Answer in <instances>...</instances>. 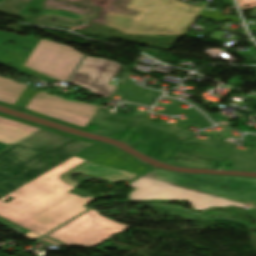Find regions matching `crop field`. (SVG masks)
Here are the masks:
<instances>
[{
  "instance_id": "crop-field-1",
  "label": "crop field",
  "mask_w": 256,
  "mask_h": 256,
  "mask_svg": "<svg viewBox=\"0 0 256 256\" xmlns=\"http://www.w3.org/2000/svg\"><path fill=\"white\" fill-rule=\"evenodd\" d=\"M85 160L72 157L0 199V224L23 235L32 231L40 236L50 232L83 211L95 199L68 192L75 186L60 176ZM10 203L3 202L8 197Z\"/></svg>"
},
{
  "instance_id": "crop-field-2",
  "label": "crop field",
  "mask_w": 256,
  "mask_h": 256,
  "mask_svg": "<svg viewBox=\"0 0 256 256\" xmlns=\"http://www.w3.org/2000/svg\"><path fill=\"white\" fill-rule=\"evenodd\" d=\"M0 174L30 181L92 144L0 117Z\"/></svg>"
},
{
  "instance_id": "crop-field-3",
  "label": "crop field",
  "mask_w": 256,
  "mask_h": 256,
  "mask_svg": "<svg viewBox=\"0 0 256 256\" xmlns=\"http://www.w3.org/2000/svg\"><path fill=\"white\" fill-rule=\"evenodd\" d=\"M127 7L139 11L135 16L110 12L106 17L110 20L107 26L124 34L183 35L198 16L216 22H242L240 18L221 15V11L178 0H132Z\"/></svg>"
},
{
  "instance_id": "crop-field-4",
  "label": "crop field",
  "mask_w": 256,
  "mask_h": 256,
  "mask_svg": "<svg viewBox=\"0 0 256 256\" xmlns=\"http://www.w3.org/2000/svg\"><path fill=\"white\" fill-rule=\"evenodd\" d=\"M10 41L17 45L10 44ZM4 43L7 45L3 46ZM22 48L30 51L24 52ZM82 56L70 47L51 41L0 31V63L35 78L49 82L56 79L67 81Z\"/></svg>"
},
{
  "instance_id": "crop-field-5",
  "label": "crop field",
  "mask_w": 256,
  "mask_h": 256,
  "mask_svg": "<svg viewBox=\"0 0 256 256\" xmlns=\"http://www.w3.org/2000/svg\"><path fill=\"white\" fill-rule=\"evenodd\" d=\"M84 130L111 135L118 139L134 131L130 139L151 146L147 154L163 162L184 133L181 130L127 115L119 120L99 114L95 115Z\"/></svg>"
},
{
  "instance_id": "crop-field-6",
  "label": "crop field",
  "mask_w": 256,
  "mask_h": 256,
  "mask_svg": "<svg viewBox=\"0 0 256 256\" xmlns=\"http://www.w3.org/2000/svg\"><path fill=\"white\" fill-rule=\"evenodd\" d=\"M145 176L256 206V179L180 174L162 169Z\"/></svg>"
},
{
  "instance_id": "crop-field-7",
  "label": "crop field",
  "mask_w": 256,
  "mask_h": 256,
  "mask_svg": "<svg viewBox=\"0 0 256 256\" xmlns=\"http://www.w3.org/2000/svg\"><path fill=\"white\" fill-rule=\"evenodd\" d=\"M128 227L103 217L92 209L49 234L48 237L57 239L69 247L78 245L93 248Z\"/></svg>"
},
{
  "instance_id": "crop-field-8",
  "label": "crop field",
  "mask_w": 256,
  "mask_h": 256,
  "mask_svg": "<svg viewBox=\"0 0 256 256\" xmlns=\"http://www.w3.org/2000/svg\"><path fill=\"white\" fill-rule=\"evenodd\" d=\"M129 186L138 188L130 193V200L182 199L191 202L193 208L198 210H204L211 206H247L242 203L185 189L174 184L150 179L145 176L140 177Z\"/></svg>"
},
{
  "instance_id": "crop-field-9",
  "label": "crop field",
  "mask_w": 256,
  "mask_h": 256,
  "mask_svg": "<svg viewBox=\"0 0 256 256\" xmlns=\"http://www.w3.org/2000/svg\"><path fill=\"white\" fill-rule=\"evenodd\" d=\"M120 66L110 60L86 56L70 83L87 88L93 94L109 97L116 88L109 83Z\"/></svg>"
},
{
  "instance_id": "crop-field-10",
  "label": "crop field",
  "mask_w": 256,
  "mask_h": 256,
  "mask_svg": "<svg viewBox=\"0 0 256 256\" xmlns=\"http://www.w3.org/2000/svg\"><path fill=\"white\" fill-rule=\"evenodd\" d=\"M229 150L182 138L166 163L177 166L213 169Z\"/></svg>"
},
{
  "instance_id": "crop-field-11",
  "label": "crop field",
  "mask_w": 256,
  "mask_h": 256,
  "mask_svg": "<svg viewBox=\"0 0 256 256\" xmlns=\"http://www.w3.org/2000/svg\"><path fill=\"white\" fill-rule=\"evenodd\" d=\"M87 105L58 96H49L48 93L39 90L22 108L73 124Z\"/></svg>"
},
{
  "instance_id": "crop-field-12",
  "label": "crop field",
  "mask_w": 256,
  "mask_h": 256,
  "mask_svg": "<svg viewBox=\"0 0 256 256\" xmlns=\"http://www.w3.org/2000/svg\"><path fill=\"white\" fill-rule=\"evenodd\" d=\"M89 161L139 175L151 166L112 146Z\"/></svg>"
},
{
  "instance_id": "crop-field-13",
  "label": "crop field",
  "mask_w": 256,
  "mask_h": 256,
  "mask_svg": "<svg viewBox=\"0 0 256 256\" xmlns=\"http://www.w3.org/2000/svg\"><path fill=\"white\" fill-rule=\"evenodd\" d=\"M74 172L97 178H106L112 182L118 180L129 181L136 176L117 169L109 168L106 166L86 161L83 164L79 165L78 167L62 175V180H64L66 183L78 186L79 184L75 183L74 181L68 178V175Z\"/></svg>"
},
{
  "instance_id": "crop-field-14",
  "label": "crop field",
  "mask_w": 256,
  "mask_h": 256,
  "mask_svg": "<svg viewBox=\"0 0 256 256\" xmlns=\"http://www.w3.org/2000/svg\"><path fill=\"white\" fill-rule=\"evenodd\" d=\"M33 87L0 77V101L21 107Z\"/></svg>"
},
{
  "instance_id": "crop-field-15",
  "label": "crop field",
  "mask_w": 256,
  "mask_h": 256,
  "mask_svg": "<svg viewBox=\"0 0 256 256\" xmlns=\"http://www.w3.org/2000/svg\"><path fill=\"white\" fill-rule=\"evenodd\" d=\"M256 153L255 150L249 149L246 153L232 150L224 158L236 161L232 168L254 170L256 171Z\"/></svg>"
},
{
  "instance_id": "crop-field-16",
  "label": "crop field",
  "mask_w": 256,
  "mask_h": 256,
  "mask_svg": "<svg viewBox=\"0 0 256 256\" xmlns=\"http://www.w3.org/2000/svg\"><path fill=\"white\" fill-rule=\"evenodd\" d=\"M45 0H32L21 12V14L30 15V14H49V15H59L67 18H72L79 20L82 15L68 13L64 11L57 10H43Z\"/></svg>"
},
{
  "instance_id": "crop-field-17",
  "label": "crop field",
  "mask_w": 256,
  "mask_h": 256,
  "mask_svg": "<svg viewBox=\"0 0 256 256\" xmlns=\"http://www.w3.org/2000/svg\"><path fill=\"white\" fill-rule=\"evenodd\" d=\"M25 181L0 175V198L24 185Z\"/></svg>"
},
{
  "instance_id": "crop-field-18",
  "label": "crop field",
  "mask_w": 256,
  "mask_h": 256,
  "mask_svg": "<svg viewBox=\"0 0 256 256\" xmlns=\"http://www.w3.org/2000/svg\"><path fill=\"white\" fill-rule=\"evenodd\" d=\"M101 105H91L83 111V113L78 117V119L74 122L72 127L84 129L89 121L94 117L97 111L100 109Z\"/></svg>"
},
{
  "instance_id": "crop-field-19",
  "label": "crop field",
  "mask_w": 256,
  "mask_h": 256,
  "mask_svg": "<svg viewBox=\"0 0 256 256\" xmlns=\"http://www.w3.org/2000/svg\"><path fill=\"white\" fill-rule=\"evenodd\" d=\"M109 146H111V145H107L102 142H97L93 146H91V147L87 148L86 150L80 152L79 154L75 155V157H79V158L88 160V159L92 158L93 156L99 154L100 152H102L103 150L108 148Z\"/></svg>"
},
{
  "instance_id": "crop-field-20",
  "label": "crop field",
  "mask_w": 256,
  "mask_h": 256,
  "mask_svg": "<svg viewBox=\"0 0 256 256\" xmlns=\"http://www.w3.org/2000/svg\"><path fill=\"white\" fill-rule=\"evenodd\" d=\"M0 116L7 117V118H11V119L16 120V121H21V122L27 123V124H29V125H33V126L38 127V128L46 129V130H49V131L54 132V133H59V134H61V135L68 136V137H71V138H74V139H77V140H83V141H86V142H89V143H92V144L95 143V141L82 139V138H80V137H76V136H73V135H70V134L64 133V132H59V131H56V130H54V129H49V128L37 126V125H34V124L30 123V122H26V121H23V120H21V119L15 118V117H11V116H9V115L0 114Z\"/></svg>"
},
{
  "instance_id": "crop-field-21",
  "label": "crop field",
  "mask_w": 256,
  "mask_h": 256,
  "mask_svg": "<svg viewBox=\"0 0 256 256\" xmlns=\"http://www.w3.org/2000/svg\"><path fill=\"white\" fill-rule=\"evenodd\" d=\"M242 10L256 7V0H238Z\"/></svg>"
},
{
  "instance_id": "crop-field-22",
  "label": "crop field",
  "mask_w": 256,
  "mask_h": 256,
  "mask_svg": "<svg viewBox=\"0 0 256 256\" xmlns=\"http://www.w3.org/2000/svg\"><path fill=\"white\" fill-rule=\"evenodd\" d=\"M21 111H24V112H27V113H30V114H33V115H36V116L48 119V120H52V121H55V122H58V123H62V124H65V125H69V126L71 125V124L64 123V122H61V121H58V120H55V119H52V118H48V117H45V116H42V115H39V114H36V113H32V112H29V111H26V110H23V109H21Z\"/></svg>"
},
{
  "instance_id": "crop-field-23",
  "label": "crop field",
  "mask_w": 256,
  "mask_h": 256,
  "mask_svg": "<svg viewBox=\"0 0 256 256\" xmlns=\"http://www.w3.org/2000/svg\"><path fill=\"white\" fill-rule=\"evenodd\" d=\"M247 217H249V218H251L252 220L256 221V210L253 211V212H251V213H249ZM253 226L256 228V224L253 225Z\"/></svg>"
},
{
  "instance_id": "crop-field-24",
  "label": "crop field",
  "mask_w": 256,
  "mask_h": 256,
  "mask_svg": "<svg viewBox=\"0 0 256 256\" xmlns=\"http://www.w3.org/2000/svg\"><path fill=\"white\" fill-rule=\"evenodd\" d=\"M0 105H2V106H7V107H11V108H13V109H16L15 106H12V105H9V104H5V103H1V102H0ZM16 110H18V109H16Z\"/></svg>"
}]
</instances>
